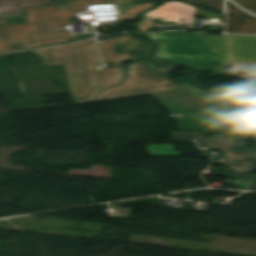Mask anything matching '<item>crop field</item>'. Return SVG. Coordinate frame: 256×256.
<instances>
[{
  "label": "crop field",
  "instance_id": "obj_3",
  "mask_svg": "<svg viewBox=\"0 0 256 256\" xmlns=\"http://www.w3.org/2000/svg\"><path fill=\"white\" fill-rule=\"evenodd\" d=\"M135 0H53L49 7L23 8L25 24L0 25V52L63 43L77 36L58 28L74 21L87 4Z\"/></svg>",
  "mask_w": 256,
  "mask_h": 256
},
{
  "label": "crop field",
  "instance_id": "obj_5",
  "mask_svg": "<svg viewBox=\"0 0 256 256\" xmlns=\"http://www.w3.org/2000/svg\"><path fill=\"white\" fill-rule=\"evenodd\" d=\"M207 133L208 132L202 131H174L170 137L181 141H190L195 144L198 151H232L239 148H246L247 141L250 139L249 134L244 136H234L228 134L206 138Z\"/></svg>",
  "mask_w": 256,
  "mask_h": 256
},
{
  "label": "crop field",
  "instance_id": "obj_2",
  "mask_svg": "<svg viewBox=\"0 0 256 256\" xmlns=\"http://www.w3.org/2000/svg\"><path fill=\"white\" fill-rule=\"evenodd\" d=\"M160 44L150 58L160 63L172 61L197 70L212 69L226 73L228 64L256 62V36H211L198 33H143Z\"/></svg>",
  "mask_w": 256,
  "mask_h": 256
},
{
  "label": "crop field",
  "instance_id": "obj_13",
  "mask_svg": "<svg viewBox=\"0 0 256 256\" xmlns=\"http://www.w3.org/2000/svg\"><path fill=\"white\" fill-rule=\"evenodd\" d=\"M247 97H249V98H256V93L255 94H249Z\"/></svg>",
  "mask_w": 256,
  "mask_h": 256
},
{
  "label": "crop field",
  "instance_id": "obj_14",
  "mask_svg": "<svg viewBox=\"0 0 256 256\" xmlns=\"http://www.w3.org/2000/svg\"><path fill=\"white\" fill-rule=\"evenodd\" d=\"M250 92H256V85L253 89L250 90Z\"/></svg>",
  "mask_w": 256,
  "mask_h": 256
},
{
  "label": "crop field",
  "instance_id": "obj_10",
  "mask_svg": "<svg viewBox=\"0 0 256 256\" xmlns=\"http://www.w3.org/2000/svg\"><path fill=\"white\" fill-rule=\"evenodd\" d=\"M179 1L223 14L222 0H179Z\"/></svg>",
  "mask_w": 256,
  "mask_h": 256
},
{
  "label": "crop field",
  "instance_id": "obj_11",
  "mask_svg": "<svg viewBox=\"0 0 256 256\" xmlns=\"http://www.w3.org/2000/svg\"><path fill=\"white\" fill-rule=\"evenodd\" d=\"M242 7L256 13V0H234Z\"/></svg>",
  "mask_w": 256,
  "mask_h": 256
},
{
  "label": "crop field",
  "instance_id": "obj_9",
  "mask_svg": "<svg viewBox=\"0 0 256 256\" xmlns=\"http://www.w3.org/2000/svg\"><path fill=\"white\" fill-rule=\"evenodd\" d=\"M153 3L145 4H120L123 20H137V14L144 9H150Z\"/></svg>",
  "mask_w": 256,
  "mask_h": 256
},
{
  "label": "crop field",
  "instance_id": "obj_7",
  "mask_svg": "<svg viewBox=\"0 0 256 256\" xmlns=\"http://www.w3.org/2000/svg\"><path fill=\"white\" fill-rule=\"evenodd\" d=\"M228 7V28L227 33L256 34V17L236 8L230 1Z\"/></svg>",
  "mask_w": 256,
  "mask_h": 256
},
{
  "label": "crop field",
  "instance_id": "obj_4",
  "mask_svg": "<svg viewBox=\"0 0 256 256\" xmlns=\"http://www.w3.org/2000/svg\"><path fill=\"white\" fill-rule=\"evenodd\" d=\"M152 96L172 113L195 114L177 119L179 128L226 131L248 130L255 125V116H238L236 120H225L224 116L211 113L226 111L243 114L236 99L219 88L204 92L185 85L172 92Z\"/></svg>",
  "mask_w": 256,
  "mask_h": 256
},
{
  "label": "crop field",
  "instance_id": "obj_1",
  "mask_svg": "<svg viewBox=\"0 0 256 256\" xmlns=\"http://www.w3.org/2000/svg\"><path fill=\"white\" fill-rule=\"evenodd\" d=\"M105 63L115 68L97 70L102 63L94 39L64 45L33 49L44 65H64L72 100L78 104L153 94L172 90L169 74L178 66H155L147 61L136 62L124 70V61L149 55L151 47L133 36L107 39L99 44Z\"/></svg>",
  "mask_w": 256,
  "mask_h": 256
},
{
  "label": "crop field",
  "instance_id": "obj_12",
  "mask_svg": "<svg viewBox=\"0 0 256 256\" xmlns=\"http://www.w3.org/2000/svg\"><path fill=\"white\" fill-rule=\"evenodd\" d=\"M197 15L203 16V17H208V18H220L224 19L222 15H218L215 13H211L202 9L197 8Z\"/></svg>",
  "mask_w": 256,
  "mask_h": 256
},
{
  "label": "crop field",
  "instance_id": "obj_6",
  "mask_svg": "<svg viewBox=\"0 0 256 256\" xmlns=\"http://www.w3.org/2000/svg\"><path fill=\"white\" fill-rule=\"evenodd\" d=\"M224 153L226 157L212 160L213 163L226 164L225 178L256 180V175H242L256 170V148Z\"/></svg>",
  "mask_w": 256,
  "mask_h": 256
},
{
  "label": "crop field",
  "instance_id": "obj_8",
  "mask_svg": "<svg viewBox=\"0 0 256 256\" xmlns=\"http://www.w3.org/2000/svg\"><path fill=\"white\" fill-rule=\"evenodd\" d=\"M151 156L181 157L182 153L174 151L172 144H154L146 146Z\"/></svg>",
  "mask_w": 256,
  "mask_h": 256
}]
</instances>
